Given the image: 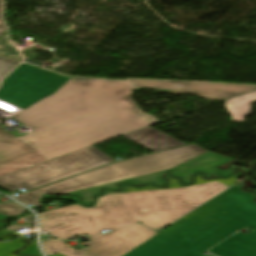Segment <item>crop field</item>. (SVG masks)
Returning a JSON list of instances; mask_svg holds the SVG:
<instances>
[{
	"label": "crop field",
	"mask_w": 256,
	"mask_h": 256,
	"mask_svg": "<svg viewBox=\"0 0 256 256\" xmlns=\"http://www.w3.org/2000/svg\"><path fill=\"white\" fill-rule=\"evenodd\" d=\"M240 173L228 179H201L189 186H180L177 178H168V189L152 185L130 187L121 185L120 193L104 190L106 194L96 198L91 208L76 204L40 213L41 227L60 239H70L81 234H98L106 229H116L141 221L158 229L191 212L207 200L235 183Z\"/></svg>",
	"instance_id": "crop-field-2"
},
{
	"label": "crop field",
	"mask_w": 256,
	"mask_h": 256,
	"mask_svg": "<svg viewBox=\"0 0 256 256\" xmlns=\"http://www.w3.org/2000/svg\"><path fill=\"white\" fill-rule=\"evenodd\" d=\"M67 253H69V252H67ZM72 253H73V255L77 256V255L81 254L82 252H80V251H74V252H72ZM63 254H64V253H63Z\"/></svg>",
	"instance_id": "crop-field-22"
},
{
	"label": "crop field",
	"mask_w": 256,
	"mask_h": 256,
	"mask_svg": "<svg viewBox=\"0 0 256 256\" xmlns=\"http://www.w3.org/2000/svg\"><path fill=\"white\" fill-rule=\"evenodd\" d=\"M16 236H12V235H9V236H6V237H3V238H0V241H4V240H11L13 238H15Z\"/></svg>",
	"instance_id": "crop-field-19"
},
{
	"label": "crop field",
	"mask_w": 256,
	"mask_h": 256,
	"mask_svg": "<svg viewBox=\"0 0 256 256\" xmlns=\"http://www.w3.org/2000/svg\"><path fill=\"white\" fill-rule=\"evenodd\" d=\"M24 244L25 243L15 241L0 243V256H18L13 255L12 253L16 248L21 247Z\"/></svg>",
	"instance_id": "crop-field-15"
},
{
	"label": "crop field",
	"mask_w": 256,
	"mask_h": 256,
	"mask_svg": "<svg viewBox=\"0 0 256 256\" xmlns=\"http://www.w3.org/2000/svg\"><path fill=\"white\" fill-rule=\"evenodd\" d=\"M25 212V208L21 207L20 205L13 203V204H0V214L14 216L19 215Z\"/></svg>",
	"instance_id": "crop-field-14"
},
{
	"label": "crop field",
	"mask_w": 256,
	"mask_h": 256,
	"mask_svg": "<svg viewBox=\"0 0 256 256\" xmlns=\"http://www.w3.org/2000/svg\"><path fill=\"white\" fill-rule=\"evenodd\" d=\"M205 152L207 151L200 146L191 144L117 162L32 192L19 194L13 198L26 205L33 203L35 207H39L41 206L39 199L48 193L64 194L92 186L168 170Z\"/></svg>",
	"instance_id": "crop-field-4"
},
{
	"label": "crop field",
	"mask_w": 256,
	"mask_h": 256,
	"mask_svg": "<svg viewBox=\"0 0 256 256\" xmlns=\"http://www.w3.org/2000/svg\"><path fill=\"white\" fill-rule=\"evenodd\" d=\"M122 136L154 152L185 144L151 126Z\"/></svg>",
	"instance_id": "crop-field-9"
},
{
	"label": "crop field",
	"mask_w": 256,
	"mask_h": 256,
	"mask_svg": "<svg viewBox=\"0 0 256 256\" xmlns=\"http://www.w3.org/2000/svg\"><path fill=\"white\" fill-rule=\"evenodd\" d=\"M9 232H11V231H9L8 229L0 230V236L4 235V234H7Z\"/></svg>",
	"instance_id": "crop-field-20"
},
{
	"label": "crop field",
	"mask_w": 256,
	"mask_h": 256,
	"mask_svg": "<svg viewBox=\"0 0 256 256\" xmlns=\"http://www.w3.org/2000/svg\"><path fill=\"white\" fill-rule=\"evenodd\" d=\"M113 159L91 146L0 178V187L14 192L43 186L109 163Z\"/></svg>",
	"instance_id": "crop-field-5"
},
{
	"label": "crop field",
	"mask_w": 256,
	"mask_h": 256,
	"mask_svg": "<svg viewBox=\"0 0 256 256\" xmlns=\"http://www.w3.org/2000/svg\"><path fill=\"white\" fill-rule=\"evenodd\" d=\"M135 87H150L157 92L194 93L205 99L226 100L253 90L256 84L221 82H180L172 80H153L128 78Z\"/></svg>",
	"instance_id": "crop-field-7"
},
{
	"label": "crop field",
	"mask_w": 256,
	"mask_h": 256,
	"mask_svg": "<svg viewBox=\"0 0 256 256\" xmlns=\"http://www.w3.org/2000/svg\"><path fill=\"white\" fill-rule=\"evenodd\" d=\"M19 63L20 61L0 58V80Z\"/></svg>",
	"instance_id": "crop-field-16"
},
{
	"label": "crop field",
	"mask_w": 256,
	"mask_h": 256,
	"mask_svg": "<svg viewBox=\"0 0 256 256\" xmlns=\"http://www.w3.org/2000/svg\"><path fill=\"white\" fill-rule=\"evenodd\" d=\"M64 256H73V255H72V253H69V254H64ZM79 256H89V255L83 253V254H81V255H79Z\"/></svg>",
	"instance_id": "crop-field-21"
},
{
	"label": "crop field",
	"mask_w": 256,
	"mask_h": 256,
	"mask_svg": "<svg viewBox=\"0 0 256 256\" xmlns=\"http://www.w3.org/2000/svg\"><path fill=\"white\" fill-rule=\"evenodd\" d=\"M251 198L252 195L239 192L235 186L214 200L256 223V204Z\"/></svg>",
	"instance_id": "crop-field-10"
},
{
	"label": "crop field",
	"mask_w": 256,
	"mask_h": 256,
	"mask_svg": "<svg viewBox=\"0 0 256 256\" xmlns=\"http://www.w3.org/2000/svg\"><path fill=\"white\" fill-rule=\"evenodd\" d=\"M18 254H31L41 256L39 249L36 245V241L32 242L31 245L18 252Z\"/></svg>",
	"instance_id": "crop-field-17"
},
{
	"label": "crop field",
	"mask_w": 256,
	"mask_h": 256,
	"mask_svg": "<svg viewBox=\"0 0 256 256\" xmlns=\"http://www.w3.org/2000/svg\"><path fill=\"white\" fill-rule=\"evenodd\" d=\"M0 57L23 60L16 47L7 40V35L0 36Z\"/></svg>",
	"instance_id": "crop-field-12"
},
{
	"label": "crop field",
	"mask_w": 256,
	"mask_h": 256,
	"mask_svg": "<svg viewBox=\"0 0 256 256\" xmlns=\"http://www.w3.org/2000/svg\"><path fill=\"white\" fill-rule=\"evenodd\" d=\"M229 160L231 159L207 152L199 157H196L168 171H170L173 174V176H180L184 183H190L191 177L198 171H202L203 173H205V177L219 176L216 173V167ZM235 169L248 171V169L246 168L231 166L226 171H221L220 176L229 175ZM161 173L162 172L141 176L133 179H128L124 181H119L115 183H110L106 185H101V186H97V187H93V188H89V189H85V190H81V191H77V192H73L65 195L79 194L82 197V203L85 205H89L92 203L94 196L100 193L99 189L111 188L113 190H119V188L116 185L120 182H128L131 184L155 183L156 185L163 186L165 181L161 178L160 176Z\"/></svg>",
	"instance_id": "crop-field-6"
},
{
	"label": "crop field",
	"mask_w": 256,
	"mask_h": 256,
	"mask_svg": "<svg viewBox=\"0 0 256 256\" xmlns=\"http://www.w3.org/2000/svg\"><path fill=\"white\" fill-rule=\"evenodd\" d=\"M2 0H0V35L7 31L6 26L3 24L2 19Z\"/></svg>",
	"instance_id": "crop-field-18"
},
{
	"label": "crop field",
	"mask_w": 256,
	"mask_h": 256,
	"mask_svg": "<svg viewBox=\"0 0 256 256\" xmlns=\"http://www.w3.org/2000/svg\"><path fill=\"white\" fill-rule=\"evenodd\" d=\"M132 90L125 81L21 64L3 80L0 99L24 109L11 118L32 132L17 138L0 129V177L157 123L130 99Z\"/></svg>",
	"instance_id": "crop-field-1"
},
{
	"label": "crop field",
	"mask_w": 256,
	"mask_h": 256,
	"mask_svg": "<svg viewBox=\"0 0 256 256\" xmlns=\"http://www.w3.org/2000/svg\"><path fill=\"white\" fill-rule=\"evenodd\" d=\"M156 234L158 233L143 225H133L88 237L90 241L81 251L91 256H123Z\"/></svg>",
	"instance_id": "crop-field-8"
},
{
	"label": "crop field",
	"mask_w": 256,
	"mask_h": 256,
	"mask_svg": "<svg viewBox=\"0 0 256 256\" xmlns=\"http://www.w3.org/2000/svg\"><path fill=\"white\" fill-rule=\"evenodd\" d=\"M256 101V91L229 99L225 101V108L232 116V122L244 121L243 117L250 110V103Z\"/></svg>",
	"instance_id": "crop-field-11"
},
{
	"label": "crop field",
	"mask_w": 256,
	"mask_h": 256,
	"mask_svg": "<svg viewBox=\"0 0 256 256\" xmlns=\"http://www.w3.org/2000/svg\"><path fill=\"white\" fill-rule=\"evenodd\" d=\"M246 225L256 230L255 223L212 200L125 256H205L201 253ZM209 251L256 256V231L237 233Z\"/></svg>",
	"instance_id": "crop-field-3"
},
{
	"label": "crop field",
	"mask_w": 256,
	"mask_h": 256,
	"mask_svg": "<svg viewBox=\"0 0 256 256\" xmlns=\"http://www.w3.org/2000/svg\"><path fill=\"white\" fill-rule=\"evenodd\" d=\"M4 225V223H0V226Z\"/></svg>",
	"instance_id": "crop-field-23"
},
{
	"label": "crop field",
	"mask_w": 256,
	"mask_h": 256,
	"mask_svg": "<svg viewBox=\"0 0 256 256\" xmlns=\"http://www.w3.org/2000/svg\"><path fill=\"white\" fill-rule=\"evenodd\" d=\"M42 246L47 255L76 250L57 239L44 241L42 242Z\"/></svg>",
	"instance_id": "crop-field-13"
}]
</instances>
